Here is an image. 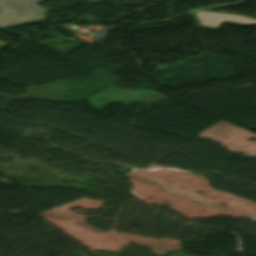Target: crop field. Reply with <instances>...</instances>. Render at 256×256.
<instances>
[{
	"label": "crop field",
	"instance_id": "obj_1",
	"mask_svg": "<svg viewBox=\"0 0 256 256\" xmlns=\"http://www.w3.org/2000/svg\"><path fill=\"white\" fill-rule=\"evenodd\" d=\"M42 0H0V28L43 21V10L36 5Z\"/></svg>",
	"mask_w": 256,
	"mask_h": 256
},
{
	"label": "crop field",
	"instance_id": "obj_2",
	"mask_svg": "<svg viewBox=\"0 0 256 256\" xmlns=\"http://www.w3.org/2000/svg\"><path fill=\"white\" fill-rule=\"evenodd\" d=\"M77 1H85V2L99 3L101 0H77Z\"/></svg>",
	"mask_w": 256,
	"mask_h": 256
},
{
	"label": "crop field",
	"instance_id": "obj_3",
	"mask_svg": "<svg viewBox=\"0 0 256 256\" xmlns=\"http://www.w3.org/2000/svg\"><path fill=\"white\" fill-rule=\"evenodd\" d=\"M152 1H163V0H152Z\"/></svg>",
	"mask_w": 256,
	"mask_h": 256
},
{
	"label": "crop field",
	"instance_id": "obj_4",
	"mask_svg": "<svg viewBox=\"0 0 256 256\" xmlns=\"http://www.w3.org/2000/svg\"><path fill=\"white\" fill-rule=\"evenodd\" d=\"M0 11H1V9H0Z\"/></svg>",
	"mask_w": 256,
	"mask_h": 256
}]
</instances>
